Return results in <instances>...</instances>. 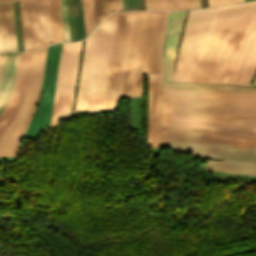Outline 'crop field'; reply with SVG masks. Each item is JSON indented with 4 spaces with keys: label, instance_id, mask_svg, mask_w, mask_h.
I'll return each mask as SVG.
<instances>
[{
    "label": "crop field",
    "instance_id": "4177f3b9",
    "mask_svg": "<svg viewBox=\"0 0 256 256\" xmlns=\"http://www.w3.org/2000/svg\"><path fill=\"white\" fill-rule=\"evenodd\" d=\"M0 1H13V0H0Z\"/></svg>",
    "mask_w": 256,
    "mask_h": 256
},
{
    "label": "crop field",
    "instance_id": "733c2abd",
    "mask_svg": "<svg viewBox=\"0 0 256 256\" xmlns=\"http://www.w3.org/2000/svg\"><path fill=\"white\" fill-rule=\"evenodd\" d=\"M203 169L256 176V164L251 163L208 160Z\"/></svg>",
    "mask_w": 256,
    "mask_h": 256
},
{
    "label": "crop field",
    "instance_id": "bc2a9ffb",
    "mask_svg": "<svg viewBox=\"0 0 256 256\" xmlns=\"http://www.w3.org/2000/svg\"><path fill=\"white\" fill-rule=\"evenodd\" d=\"M147 9H188L200 7L199 0H146Z\"/></svg>",
    "mask_w": 256,
    "mask_h": 256
},
{
    "label": "crop field",
    "instance_id": "f4fd0767",
    "mask_svg": "<svg viewBox=\"0 0 256 256\" xmlns=\"http://www.w3.org/2000/svg\"><path fill=\"white\" fill-rule=\"evenodd\" d=\"M167 12H135L122 97L141 95V74L160 72Z\"/></svg>",
    "mask_w": 256,
    "mask_h": 256
},
{
    "label": "crop field",
    "instance_id": "d1516ede",
    "mask_svg": "<svg viewBox=\"0 0 256 256\" xmlns=\"http://www.w3.org/2000/svg\"><path fill=\"white\" fill-rule=\"evenodd\" d=\"M162 147H171V151L192 152L193 158H217L256 163L255 148L174 142H162Z\"/></svg>",
    "mask_w": 256,
    "mask_h": 256
},
{
    "label": "crop field",
    "instance_id": "d9b57169",
    "mask_svg": "<svg viewBox=\"0 0 256 256\" xmlns=\"http://www.w3.org/2000/svg\"><path fill=\"white\" fill-rule=\"evenodd\" d=\"M18 54L5 55L0 83V112L7 102L15 80V72Z\"/></svg>",
    "mask_w": 256,
    "mask_h": 256
},
{
    "label": "crop field",
    "instance_id": "22f410ed",
    "mask_svg": "<svg viewBox=\"0 0 256 256\" xmlns=\"http://www.w3.org/2000/svg\"><path fill=\"white\" fill-rule=\"evenodd\" d=\"M185 13L186 11L169 13L163 61V81H172L175 54L180 38Z\"/></svg>",
    "mask_w": 256,
    "mask_h": 256
},
{
    "label": "crop field",
    "instance_id": "ac0d7876",
    "mask_svg": "<svg viewBox=\"0 0 256 256\" xmlns=\"http://www.w3.org/2000/svg\"><path fill=\"white\" fill-rule=\"evenodd\" d=\"M162 126L256 133V94L162 89Z\"/></svg>",
    "mask_w": 256,
    "mask_h": 256
},
{
    "label": "crop field",
    "instance_id": "dafd665d",
    "mask_svg": "<svg viewBox=\"0 0 256 256\" xmlns=\"http://www.w3.org/2000/svg\"><path fill=\"white\" fill-rule=\"evenodd\" d=\"M63 41H70L66 0H59Z\"/></svg>",
    "mask_w": 256,
    "mask_h": 256
},
{
    "label": "crop field",
    "instance_id": "214f88e0",
    "mask_svg": "<svg viewBox=\"0 0 256 256\" xmlns=\"http://www.w3.org/2000/svg\"><path fill=\"white\" fill-rule=\"evenodd\" d=\"M95 25L107 14L123 10L122 0H92Z\"/></svg>",
    "mask_w": 256,
    "mask_h": 256
},
{
    "label": "crop field",
    "instance_id": "412701ff",
    "mask_svg": "<svg viewBox=\"0 0 256 256\" xmlns=\"http://www.w3.org/2000/svg\"><path fill=\"white\" fill-rule=\"evenodd\" d=\"M117 13L87 38L74 115L102 112Z\"/></svg>",
    "mask_w": 256,
    "mask_h": 256
},
{
    "label": "crop field",
    "instance_id": "8a807250",
    "mask_svg": "<svg viewBox=\"0 0 256 256\" xmlns=\"http://www.w3.org/2000/svg\"><path fill=\"white\" fill-rule=\"evenodd\" d=\"M255 68L256 2L217 8L198 82L248 85Z\"/></svg>",
    "mask_w": 256,
    "mask_h": 256
},
{
    "label": "crop field",
    "instance_id": "00972430",
    "mask_svg": "<svg viewBox=\"0 0 256 256\" xmlns=\"http://www.w3.org/2000/svg\"><path fill=\"white\" fill-rule=\"evenodd\" d=\"M244 2V0H208L209 6Z\"/></svg>",
    "mask_w": 256,
    "mask_h": 256
},
{
    "label": "crop field",
    "instance_id": "28ad6ade",
    "mask_svg": "<svg viewBox=\"0 0 256 256\" xmlns=\"http://www.w3.org/2000/svg\"><path fill=\"white\" fill-rule=\"evenodd\" d=\"M61 46L62 43L48 46L41 99L24 136L35 137L42 128L49 125Z\"/></svg>",
    "mask_w": 256,
    "mask_h": 256
},
{
    "label": "crop field",
    "instance_id": "5a996713",
    "mask_svg": "<svg viewBox=\"0 0 256 256\" xmlns=\"http://www.w3.org/2000/svg\"><path fill=\"white\" fill-rule=\"evenodd\" d=\"M82 41L63 43L51 123L70 118Z\"/></svg>",
    "mask_w": 256,
    "mask_h": 256
},
{
    "label": "crop field",
    "instance_id": "4a817a6b",
    "mask_svg": "<svg viewBox=\"0 0 256 256\" xmlns=\"http://www.w3.org/2000/svg\"><path fill=\"white\" fill-rule=\"evenodd\" d=\"M162 88L226 90V91L256 93V89L254 88L228 86V85L162 83Z\"/></svg>",
    "mask_w": 256,
    "mask_h": 256
},
{
    "label": "crop field",
    "instance_id": "5142ce71",
    "mask_svg": "<svg viewBox=\"0 0 256 256\" xmlns=\"http://www.w3.org/2000/svg\"><path fill=\"white\" fill-rule=\"evenodd\" d=\"M0 27L3 52L17 51L12 2H0Z\"/></svg>",
    "mask_w": 256,
    "mask_h": 256
},
{
    "label": "crop field",
    "instance_id": "92a150f3",
    "mask_svg": "<svg viewBox=\"0 0 256 256\" xmlns=\"http://www.w3.org/2000/svg\"><path fill=\"white\" fill-rule=\"evenodd\" d=\"M81 2H82L84 32H85V35H87L91 31V29L94 27L92 1L81 0Z\"/></svg>",
    "mask_w": 256,
    "mask_h": 256
},
{
    "label": "crop field",
    "instance_id": "cbeb9de0",
    "mask_svg": "<svg viewBox=\"0 0 256 256\" xmlns=\"http://www.w3.org/2000/svg\"><path fill=\"white\" fill-rule=\"evenodd\" d=\"M148 145L160 148V74L149 75Z\"/></svg>",
    "mask_w": 256,
    "mask_h": 256
},
{
    "label": "crop field",
    "instance_id": "dd49c442",
    "mask_svg": "<svg viewBox=\"0 0 256 256\" xmlns=\"http://www.w3.org/2000/svg\"><path fill=\"white\" fill-rule=\"evenodd\" d=\"M215 9L189 11L173 81H198Z\"/></svg>",
    "mask_w": 256,
    "mask_h": 256
},
{
    "label": "crop field",
    "instance_id": "34b2d1b8",
    "mask_svg": "<svg viewBox=\"0 0 256 256\" xmlns=\"http://www.w3.org/2000/svg\"><path fill=\"white\" fill-rule=\"evenodd\" d=\"M47 47L19 54L12 94L0 114V155H14L41 87Z\"/></svg>",
    "mask_w": 256,
    "mask_h": 256
},
{
    "label": "crop field",
    "instance_id": "3316defc",
    "mask_svg": "<svg viewBox=\"0 0 256 256\" xmlns=\"http://www.w3.org/2000/svg\"><path fill=\"white\" fill-rule=\"evenodd\" d=\"M162 141L218 143L256 148V134L220 129L162 127Z\"/></svg>",
    "mask_w": 256,
    "mask_h": 256
},
{
    "label": "crop field",
    "instance_id": "a9b5d70f",
    "mask_svg": "<svg viewBox=\"0 0 256 256\" xmlns=\"http://www.w3.org/2000/svg\"><path fill=\"white\" fill-rule=\"evenodd\" d=\"M252 86H256V78H255V81H254V83H253V85Z\"/></svg>",
    "mask_w": 256,
    "mask_h": 256
},
{
    "label": "crop field",
    "instance_id": "e52e79f7",
    "mask_svg": "<svg viewBox=\"0 0 256 256\" xmlns=\"http://www.w3.org/2000/svg\"><path fill=\"white\" fill-rule=\"evenodd\" d=\"M24 50L61 40L58 1L19 2Z\"/></svg>",
    "mask_w": 256,
    "mask_h": 256
},
{
    "label": "crop field",
    "instance_id": "d8731c3e",
    "mask_svg": "<svg viewBox=\"0 0 256 256\" xmlns=\"http://www.w3.org/2000/svg\"><path fill=\"white\" fill-rule=\"evenodd\" d=\"M134 12L118 13L103 112L121 98ZM114 110V109H113Z\"/></svg>",
    "mask_w": 256,
    "mask_h": 256
}]
</instances>
